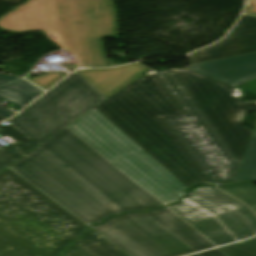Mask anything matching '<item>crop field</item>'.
I'll use <instances>...</instances> for the list:
<instances>
[{"mask_svg":"<svg viewBox=\"0 0 256 256\" xmlns=\"http://www.w3.org/2000/svg\"><path fill=\"white\" fill-rule=\"evenodd\" d=\"M107 99L77 72L20 115L0 124L18 141L0 148V172L11 168L90 226L105 217L164 206L66 128Z\"/></svg>","mask_w":256,"mask_h":256,"instance_id":"1","label":"crop field"},{"mask_svg":"<svg viewBox=\"0 0 256 256\" xmlns=\"http://www.w3.org/2000/svg\"><path fill=\"white\" fill-rule=\"evenodd\" d=\"M186 115L163 117L212 184L234 182L253 131L244 91L188 69L155 72ZM155 74V75H156Z\"/></svg>","mask_w":256,"mask_h":256,"instance_id":"2","label":"crop field"},{"mask_svg":"<svg viewBox=\"0 0 256 256\" xmlns=\"http://www.w3.org/2000/svg\"><path fill=\"white\" fill-rule=\"evenodd\" d=\"M186 187L210 183L161 116L185 114L155 73L95 108Z\"/></svg>","mask_w":256,"mask_h":256,"instance_id":"3","label":"crop field"},{"mask_svg":"<svg viewBox=\"0 0 256 256\" xmlns=\"http://www.w3.org/2000/svg\"><path fill=\"white\" fill-rule=\"evenodd\" d=\"M86 227L11 169L0 174V256H60Z\"/></svg>","mask_w":256,"mask_h":256,"instance_id":"4","label":"crop field"},{"mask_svg":"<svg viewBox=\"0 0 256 256\" xmlns=\"http://www.w3.org/2000/svg\"><path fill=\"white\" fill-rule=\"evenodd\" d=\"M0 29L12 32L41 31L60 49L67 48L78 66L110 67L103 38L117 35L114 6L110 0H52L0 20Z\"/></svg>","mask_w":256,"mask_h":256,"instance_id":"5","label":"crop field"},{"mask_svg":"<svg viewBox=\"0 0 256 256\" xmlns=\"http://www.w3.org/2000/svg\"><path fill=\"white\" fill-rule=\"evenodd\" d=\"M92 229L129 256H182L215 248L167 207L127 213Z\"/></svg>","mask_w":256,"mask_h":256,"instance_id":"6","label":"crop field"},{"mask_svg":"<svg viewBox=\"0 0 256 256\" xmlns=\"http://www.w3.org/2000/svg\"><path fill=\"white\" fill-rule=\"evenodd\" d=\"M97 111L67 128L165 205L180 200L186 187Z\"/></svg>","mask_w":256,"mask_h":256,"instance_id":"7","label":"crop field"},{"mask_svg":"<svg viewBox=\"0 0 256 256\" xmlns=\"http://www.w3.org/2000/svg\"><path fill=\"white\" fill-rule=\"evenodd\" d=\"M213 188L197 190L170 208L190 224L228 213L249 237L256 235V216L246 206Z\"/></svg>","mask_w":256,"mask_h":256,"instance_id":"8","label":"crop field"},{"mask_svg":"<svg viewBox=\"0 0 256 256\" xmlns=\"http://www.w3.org/2000/svg\"><path fill=\"white\" fill-rule=\"evenodd\" d=\"M219 43L190 55L192 64L256 52V17L243 15L237 26Z\"/></svg>","mask_w":256,"mask_h":256,"instance_id":"9","label":"crop field"},{"mask_svg":"<svg viewBox=\"0 0 256 256\" xmlns=\"http://www.w3.org/2000/svg\"><path fill=\"white\" fill-rule=\"evenodd\" d=\"M187 68L236 86L256 78V53L200 63Z\"/></svg>","mask_w":256,"mask_h":256,"instance_id":"10","label":"crop field"},{"mask_svg":"<svg viewBox=\"0 0 256 256\" xmlns=\"http://www.w3.org/2000/svg\"><path fill=\"white\" fill-rule=\"evenodd\" d=\"M151 68L137 62L120 68L77 71L107 98Z\"/></svg>","mask_w":256,"mask_h":256,"instance_id":"11","label":"crop field"},{"mask_svg":"<svg viewBox=\"0 0 256 256\" xmlns=\"http://www.w3.org/2000/svg\"><path fill=\"white\" fill-rule=\"evenodd\" d=\"M192 226L218 246L248 237L228 214L195 223Z\"/></svg>","mask_w":256,"mask_h":256,"instance_id":"12","label":"crop field"},{"mask_svg":"<svg viewBox=\"0 0 256 256\" xmlns=\"http://www.w3.org/2000/svg\"><path fill=\"white\" fill-rule=\"evenodd\" d=\"M85 240L71 245L64 256H127L92 229L84 234Z\"/></svg>","mask_w":256,"mask_h":256,"instance_id":"13","label":"crop field"},{"mask_svg":"<svg viewBox=\"0 0 256 256\" xmlns=\"http://www.w3.org/2000/svg\"><path fill=\"white\" fill-rule=\"evenodd\" d=\"M43 92L23 79L0 86V95L24 107Z\"/></svg>","mask_w":256,"mask_h":256,"instance_id":"14","label":"crop field"},{"mask_svg":"<svg viewBox=\"0 0 256 256\" xmlns=\"http://www.w3.org/2000/svg\"><path fill=\"white\" fill-rule=\"evenodd\" d=\"M243 181H256V131L236 175L235 183Z\"/></svg>","mask_w":256,"mask_h":256,"instance_id":"15","label":"crop field"},{"mask_svg":"<svg viewBox=\"0 0 256 256\" xmlns=\"http://www.w3.org/2000/svg\"><path fill=\"white\" fill-rule=\"evenodd\" d=\"M221 190L249 205L256 212V184L247 183L233 187H219Z\"/></svg>","mask_w":256,"mask_h":256,"instance_id":"16","label":"crop field"},{"mask_svg":"<svg viewBox=\"0 0 256 256\" xmlns=\"http://www.w3.org/2000/svg\"><path fill=\"white\" fill-rule=\"evenodd\" d=\"M67 74L68 73H65V72H47L44 75L39 77L33 78L28 75L26 78L27 80L31 81L35 85L39 86L40 88L47 90Z\"/></svg>","mask_w":256,"mask_h":256,"instance_id":"17","label":"crop field"},{"mask_svg":"<svg viewBox=\"0 0 256 256\" xmlns=\"http://www.w3.org/2000/svg\"><path fill=\"white\" fill-rule=\"evenodd\" d=\"M220 250L228 256H256V248L243 243L220 248Z\"/></svg>","mask_w":256,"mask_h":256,"instance_id":"18","label":"crop field"},{"mask_svg":"<svg viewBox=\"0 0 256 256\" xmlns=\"http://www.w3.org/2000/svg\"><path fill=\"white\" fill-rule=\"evenodd\" d=\"M44 1H47V0H28V1L25 2L23 5H21L20 7H18V8L15 9V10H13V11L7 13V14L4 15L3 17H1L0 19H3V18H5V17H7V16H9V15H12V14H14V13H16V12H19V11L25 9V8H28V7L32 6V5L37 4V3H42V2H44Z\"/></svg>","mask_w":256,"mask_h":256,"instance_id":"19","label":"crop field"},{"mask_svg":"<svg viewBox=\"0 0 256 256\" xmlns=\"http://www.w3.org/2000/svg\"><path fill=\"white\" fill-rule=\"evenodd\" d=\"M4 66H0V70H3ZM20 79L19 77H15V76H9V75H3L0 74V85L12 82L14 80Z\"/></svg>","mask_w":256,"mask_h":256,"instance_id":"20","label":"crop field"},{"mask_svg":"<svg viewBox=\"0 0 256 256\" xmlns=\"http://www.w3.org/2000/svg\"><path fill=\"white\" fill-rule=\"evenodd\" d=\"M193 256H226V255L219 249H216V250L203 252V253L193 255Z\"/></svg>","mask_w":256,"mask_h":256,"instance_id":"21","label":"crop field"},{"mask_svg":"<svg viewBox=\"0 0 256 256\" xmlns=\"http://www.w3.org/2000/svg\"><path fill=\"white\" fill-rule=\"evenodd\" d=\"M244 13L256 15V0H249L248 9Z\"/></svg>","mask_w":256,"mask_h":256,"instance_id":"22","label":"crop field"},{"mask_svg":"<svg viewBox=\"0 0 256 256\" xmlns=\"http://www.w3.org/2000/svg\"><path fill=\"white\" fill-rule=\"evenodd\" d=\"M13 115H14V114L9 113V112H7V111H5V110H3V109L0 108V116H2V117H4V118L8 119V118L12 117Z\"/></svg>","mask_w":256,"mask_h":256,"instance_id":"23","label":"crop field"},{"mask_svg":"<svg viewBox=\"0 0 256 256\" xmlns=\"http://www.w3.org/2000/svg\"><path fill=\"white\" fill-rule=\"evenodd\" d=\"M1 98H3V99H5V100H7V101H9V102H11V103H13L12 101H10V100H8V99H6V98H4V97H2V96H0V99ZM13 104H15V103H13ZM15 105H17V104H15ZM18 107L17 108H15L16 110H21L23 107H21V106H19V105H17ZM1 107V106H0ZM3 108V107H2ZM5 109V108H4ZM6 110H8V109H6ZM8 111H10V110H8ZM10 112H12V113H14V114H16L15 112H13V111H10Z\"/></svg>","mask_w":256,"mask_h":256,"instance_id":"24","label":"crop field"},{"mask_svg":"<svg viewBox=\"0 0 256 256\" xmlns=\"http://www.w3.org/2000/svg\"><path fill=\"white\" fill-rule=\"evenodd\" d=\"M243 243H246V244H249V245H252V246H255V247H256V238H255V239H251V240L244 241Z\"/></svg>","mask_w":256,"mask_h":256,"instance_id":"25","label":"crop field"},{"mask_svg":"<svg viewBox=\"0 0 256 256\" xmlns=\"http://www.w3.org/2000/svg\"><path fill=\"white\" fill-rule=\"evenodd\" d=\"M3 120H6V119H4V118L0 117V121H3Z\"/></svg>","mask_w":256,"mask_h":256,"instance_id":"26","label":"crop field"}]
</instances>
